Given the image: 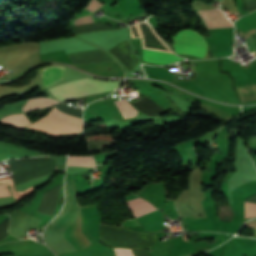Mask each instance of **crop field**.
<instances>
[{
    "label": "crop field",
    "instance_id": "obj_1",
    "mask_svg": "<svg viewBox=\"0 0 256 256\" xmlns=\"http://www.w3.org/2000/svg\"><path fill=\"white\" fill-rule=\"evenodd\" d=\"M79 207L72 180L66 183V203L62 212L46 229L64 232L76 219ZM61 232L45 231L46 243L57 255L77 251L67 230L64 233Z\"/></svg>",
    "mask_w": 256,
    "mask_h": 256
},
{
    "label": "crop field",
    "instance_id": "obj_2",
    "mask_svg": "<svg viewBox=\"0 0 256 256\" xmlns=\"http://www.w3.org/2000/svg\"><path fill=\"white\" fill-rule=\"evenodd\" d=\"M100 236L105 244L114 247L147 249L158 240L156 233H139L127 228L101 225Z\"/></svg>",
    "mask_w": 256,
    "mask_h": 256
},
{
    "label": "crop field",
    "instance_id": "obj_3",
    "mask_svg": "<svg viewBox=\"0 0 256 256\" xmlns=\"http://www.w3.org/2000/svg\"><path fill=\"white\" fill-rule=\"evenodd\" d=\"M49 115L54 116L58 119L71 123L75 126L82 128V120L73 116L66 115L60 112L57 108H53ZM45 116L39 119L34 124L28 126L33 129H37L43 132L51 133L53 135L62 134V133H78L81 131L80 128L75 127L71 124L58 120L51 116Z\"/></svg>",
    "mask_w": 256,
    "mask_h": 256
},
{
    "label": "crop field",
    "instance_id": "obj_4",
    "mask_svg": "<svg viewBox=\"0 0 256 256\" xmlns=\"http://www.w3.org/2000/svg\"><path fill=\"white\" fill-rule=\"evenodd\" d=\"M117 82H121V81H117ZM117 82H102V81H96V80H91V79H82V80L74 81L71 83L55 86L49 90L53 94H58V93L71 91V90H75V89H80V88H85V87H90V86H95V85H101V84L117 83ZM119 84L120 83L95 86V87L75 90V91H71V92H67V93H62V94H58V95H54V96L60 100L74 98V97H79V96H84V95H90V94L115 90Z\"/></svg>",
    "mask_w": 256,
    "mask_h": 256
},
{
    "label": "crop field",
    "instance_id": "obj_5",
    "mask_svg": "<svg viewBox=\"0 0 256 256\" xmlns=\"http://www.w3.org/2000/svg\"><path fill=\"white\" fill-rule=\"evenodd\" d=\"M172 38L174 42L192 43L207 47L204 38L198 33L191 30H181L177 35L172 36ZM198 45L174 43L175 51L177 53L193 54L203 57L207 48Z\"/></svg>",
    "mask_w": 256,
    "mask_h": 256
},
{
    "label": "crop field",
    "instance_id": "obj_6",
    "mask_svg": "<svg viewBox=\"0 0 256 256\" xmlns=\"http://www.w3.org/2000/svg\"><path fill=\"white\" fill-rule=\"evenodd\" d=\"M198 13L202 17L208 29L233 26V24L226 19L222 11L219 9L202 10L198 11Z\"/></svg>",
    "mask_w": 256,
    "mask_h": 256
},
{
    "label": "crop field",
    "instance_id": "obj_7",
    "mask_svg": "<svg viewBox=\"0 0 256 256\" xmlns=\"http://www.w3.org/2000/svg\"><path fill=\"white\" fill-rule=\"evenodd\" d=\"M143 60L146 62L165 64L183 60L174 53L143 48Z\"/></svg>",
    "mask_w": 256,
    "mask_h": 256
},
{
    "label": "crop field",
    "instance_id": "obj_8",
    "mask_svg": "<svg viewBox=\"0 0 256 256\" xmlns=\"http://www.w3.org/2000/svg\"><path fill=\"white\" fill-rule=\"evenodd\" d=\"M64 67L49 66L42 68V78L46 88L63 80Z\"/></svg>",
    "mask_w": 256,
    "mask_h": 256
},
{
    "label": "crop field",
    "instance_id": "obj_9",
    "mask_svg": "<svg viewBox=\"0 0 256 256\" xmlns=\"http://www.w3.org/2000/svg\"><path fill=\"white\" fill-rule=\"evenodd\" d=\"M136 217L156 210L150 203L138 198L127 202Z\"/></svg>",
    "mask_w": 256,
    "mask_h": 256
},
{
    "label": "crop field",
    "instance_id": "obj_10",
    "mask_svg": "<svg viewBox=\"0 0 256 256\" xmlns=\"http://www.w3.org/2000/svg\"><path fill=\"white\" fill-rule=\"evenodd\" d=\"M239 101H251L256 100V85H245L236 87Z\"/></svg>",
    "mask_w": 256,
    "mask_h": 256
},
{
    "label": "crop field",
    "instance_id": "obj_11",
    "mask_svg": "<svg viewBox=\"0 0 256 256\" xmlns=\"http://www.w3.org/2000/svg\"><path fill=\"white\" fill-rule=\"evenodd\" d=\"M0 122L17 128H21L30 123L23 114L9 115L0 120Z\"/></svg>",
    "mask_w": 256,
    "mask_h": 256
},
{
    "label": "crop field",
    "instance_id": "obj_12",
    "mask_svg": "<svg viewBox=\"0 0 256 256\" xmlns=\"http://www.w3.org/2000/svg\"><path fill=\"white\" fill-rule=\"evenodd\" d=\"M59 101L52 100L50 98H35V99H29L28 103L23 107V111L29 110V109H35V108H42L49 105H53Z\"/></svg>",
    "mask_w": 256,
    "mask_h": 256
},
{
    "label": "crop field",
    "instance_id": "obj_13",
    "mask_svg": "<svg viewBox=\"0 0 256 256\" xmlns=\"http://www.w3.org/2000/svg\"><path fill=\"white\" fill-rule=\"evenodd\" d=\"M114 103L122 113L124 119L134 117L138 112L126 99L114 101Z\"/></svg>",
    "mask_w": 256,
    "mask_h": 256
},
{
    "label": "crop field",
    "instance_id": "obj_14",
    "mask_svg": "<svg viewBox=\"0 0 256 256\" xmlns=\"http://www.w3.org/2000/svg\"><path fill=\"white\" fill-rule=\"evenodd\" d=\"M15 195L10 175L0 177V196Z\"/></svg>",
    "mask_w": 256,
    "mask_h": 256
},
{
    "label": "crop field",
    "instance_id": "obj_15",
    "mask_svg": "<svg viewBox=\"0 0 256 256\" xmlns=\"http://www.w3.org/2000/svg\"><path fill=\"white\" fill-rule=\"evenodd\" d=\"M68 165H70V166L94 167L92 157H69Z\"/></svg>",
    "mask_w": 256,
    "mask_h": 256
},
{
    "label": "crop field",
    "instance_id": "obj_16",
    "mask_svg": "<svg viewBox=\"0 0 256 256\" xmlns=\"http://www.w3.org/2000/svg\"><path fill=\"white\" fill-rule=\"evenodd\" d=\"M116 256H134L131 249H114Z\"/></svg>",
    "mask_w": 256,
    "mask_h": 256
},
{
    "label": "crop field",
    "instance_id": "obj_17",
    "mask_svg": "<svg viewBox=\"0 0 256 256\" xmlns=\"http://www.w3.org/2000/svg\"><path fill=\"white\" fill-rule=\"evenodd\" d=\"M186 149H187V153H188V156L190 159L198 158L195 147H190V148H186Z\"/></svg>",
    "mask_w": 256,
    "mask_h": 256
},
{
    "label": "crop field",
    "instance_id": "obj_18",
    "mask_svg": "<svg viewBox=\"0 0 256 256\" xmlns=\"http://www.w3.org/2000/svg\"><path fill=\"white\" fill-rule=\"evenodd\" d=\"M138 222V221H137ZM135 219H127L123 224L120 226H139Z\"/></svg>",
    "mask_w": 256,
    "mask_h": 256
},
{
    "label": "crop field",
    "instance_id": "obj_19",
    "mask_svg": "<svg viewBox=\"0 0 256 256\" xmlns=\"http://www.w3.org/2000/svg\"><path fill=\"white\" fill-rule=\"evenodd\" d=\"M220 128H221V127H220ZM220 128H218V129H216V130H214V131L208 133L207 135L201 137V139L210 142V140L212 139V137L217 133V131H218Z\"/></svg>",
    "mask_w": 256,
    "mask_h": 256
},
{
    "label": "crop field",
    "instance_id": "obj_20",
    "mask_svg": "<svg viewBox=\"0 0 256 256\" xmlns=\"http://www.w3.org/2000/svg\"><path fill=\"white\" fill-rule=\"evenodd\" d=\"M135 256H149L145 251L132 249Z\"/></svg>",
    "mask_w": 256,
    "mask_h": 256
},
{
    "label": "crop field",
    "instance_id": "obj_21",
    "mask_svg": "<svg viewBox=\"0 0 256 256\" xmlns=\"http://www.w3.org/2000/svg\"><path fill=\"white\" fill-rule=\"evenodd\" d=\"M246 225H247V226H250V227H253V228L256 229V220H253V221H251V222H248Z\"/></svg>",
    "mask_w": 256,
    "mask_h": 256
}]
</instances>
